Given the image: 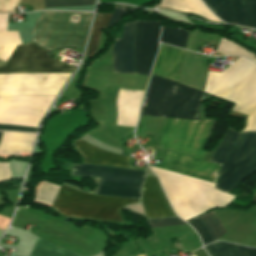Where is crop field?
Segmentation results:
<instances>
[{"label":"crop field","mask_w":256,"mask_h":256,"mask_svg":"<svg viewBox=\"0 0 256 256\" xmlns=\"http://www.w3.org/2000/svg\"><path fill=\"white\" fill-rule=\"evenodd\" d=\"M90 13L43 12L34 26L32 42L47 51L83 47ZM29 42L17 46L0 74H71L70 65L50 59ZM70 75H0V96L57 95Z\"/></svg>","instance_id":"crop-field-1"},{"label":"crop field","mask_w":256,"mask_h":256,"mask_svg":"<svg viewBox=\"0 0 256 256\" xmlns=\"http://www.w3.org/2000/svg\"><path fill=\"white\" fill-rule=\"evenodd\" d=\"M152 169L161 179L174 209L185 220L214 207H227L234 198V196L217 192L213 187L214 184L156 168Z\"/></svg>","instance_id":"crop-field-2"},{"label":"crop field","mask_w":256,"mask_h":256,"mask_svg":"<svg viewBox=\"0 0 256 256\" xmlns=\"http://www.w3.org/2000/svg\"><path fill=\"white\" fill-rule=\"evenodd\" d=\"M204 96L201 91L152 74L141 115L196 120Z\"/></svg>","instance_id":"crop-field-3"},{"label":"crop field","mask_w":256,"mask_h":256,"mask_svg":"<svg viewBox=\"0 0 256 256\" xmlns=\"http://www.w3.org/2000/svg\"><path fill=\"white\" fill-rule=\"evenodd\" d=\"M210 161L221 164L216 189L228 192L256 170V131L236 132L228 128Z\"/></svg>","instance_id":"crop-field-4"},{"label":"crop field","mask_w":256,"mask_h":256,"mask_svg":"<svg viewBox=\"0 0 256 256\" xmlns=\"http://www.w3.org/2000/svg\"><path fill=\"white\" fill-rule=\"evenodd\" d=\"M204 91L235 102L234 111L250 114L256 109V65L240 57L222 73L209 72Z\"/></svg>","instance_id":"crop-field-5"},{"label":"crop field","mask_w":256,"mask_h":256,"mask_svg":"<svg viewBox=\"0 0 256 256\" xmlns=\"http://www.w3.org/2000/svg\"><path fill=\"white\" fill-rule=\"evenodd\" d=\"M137 201L94 196L61 186L52 208L64 216L122 222L120 209Z\"/></svg>","instance_id":"crop-field-6"},{"label":"crop field","mask_w":256,"mask_h":256,"mask_svg":"<svg viewBox=\"0 0 256 256\" xmlns=\"http://www.w3.org/2000/svg\"><path fill=\"white\" fill-rule=\"evenodd\" d=\"M214 123L166 118L159 147L201 159Z\"/></svg>","instance_id":"crop-field-7"},{"label":"crop field","mask_w":256,"mask_h":256,"mask_svg":"<svg viewBox=\"0 0 256 256\" xmlns=\"http://www.w3.org/2000/svg\"><path fill=\"white\" fill-rule=\"evenodd\" d=\"M73 174L101 177L97 194L140 198L144 171L100 165H75Z\"/></svg>","instance_id":"crop-field-8"},{"label":"crop field","mask_w":256,"mask_h":256,"mask_svg":"<svg viewBox=\"0 0 256 256\" xmlns=\"http://www.w3.org/2000/svg\"><path fill=\"white\" fill-rule=\"evenodd\" d=\"M54 99L44 96L0 98V124L37 127Z\"/></svg>","instance_id":"crop-field-9"},{"label":"crop field","mask_w":256,"mask_h":256,"mask_svg":"<svg viewBox=\"0 0 256 256\" xmlns=\"http://www.w3.org/2000/svg\"><path fill=\"white\" fill-rule=\"evenodd\" d=\"M160 21H137L135 33V69L137 74L149 75L157 51Z\"/></svg>","instance_id":"crop-field-10"},{"label":"crop field","mask_w":256,"mask_h":256,"mask_svg":"<svg viewBox=\"0 0 256 256\" xmlns=\"http://www.w3.org/2000/svg\"><path fill=\"white\" fill-rule=\"evenodd\" d=\"M207 7L227 23L256 28V0H203Z\"/></svg>","instance_id":"crop-field-11"},{"label":"crop field","mask_w":256,"mask_h":256,"mask_svg":"<svg viewBox=\"0 0 256 256\" xmlns=\"http://www.w3.org/2000/svg\"><path fill=\"white\" fill-rule=\"evenodd\" d=\"M219 167L210 162L167 151L163 169L216 183Z\"/></svg>","instance_id":"crop-field-12"},{"label":"crop field","mask_w":256,"mask_h":256,"mask_svg":"<svg viewBox=\"0 0 256 256\" xmlns=\"http://www.w3.org/2000/svg\"><path fill=\"white\" fill-rule=\"evenodd\" d=\"M142 202L148 219L176 216L156 177L146 176L142 188Z\"/></svg>","instance_id":"crop-field-13"},{"label":"crop field","mask_w":256,"mask_h":256,"mask_svg":"<svg viewBox=\"0 0 256 256\" xmlns=\"http://www.w3.org/2000/svg\"><path fill=\"white\" fill-rule=\"evenodd\" d=\"M135 22H125L121 39H114V72L134 73L133 42Z\"/></svg>","instance_id":"crop-field-14"},{"label":"crop field","mask_w":256,"mask_h":256,"mask_svg":"<svg viewBox=\"0 0 256 256\" xmlns=\"http://www.w3.org/2000/svg\"><path fill=\"white\" fill-rule=\"evenodd\" d=\"M183 53V50L160 45L152 73L178 82Z\"/></svg>","instance_id":"crop-field-15"},{"label":"crop field","mask_w":256,"mask_h":256,"mask_svg":"<svg viewBox=\"0 0 256 256\" xmlns=\"http://www.w3.org/2000/svg\"><path fill=\"white\" fill-rule=\"evenodd\" d=\"M144 91L120 89L117 100V125L135 127Z\"/></svg>","instance_id":"crop-field-16"},{"label":"crop field","mask_w":256,"mask_h":256,"mask_svg":"<svg viewBox=\"0 0 256 256\" xmlns=\"http://www.w3.org/2000/svg\"><path fill=\"white\" fill-rule=\"evenodd\" d=\"M74 146L81 156L84 157V163L104 164L129 168V157L109 153L80 139L75 141Z\"/></svg>","instance_id":"crop-field-17"},{"label":"crop field","mask_w":256,"mask_h":256,"mask_svg":"<svg viewBox=\"0 0 256 256\" xmlns=\"http://www.w3.org/2000/svg\"><path fill=\"white\" fill-rule=\"evenodd\" d=\"M127 9H131V10H135V11L137 10L136 8H133L128 5L117 4V5H115L113 15L112 14H102V13L96 14V17H95V20L93 23V27H92V31H91V36H90L87 53H86L87 57H89L92 54V52L96 49L97 44L100 39V29L107 27L111 15H112V17H111V20H110V23L108 26H112L113 23L117 19H119Z\"/></svg>","instance_id":"crop-field-18"},{"label":"crop field","mask_w":256,"mask_h":256,"mask_svg":"<svg viewBox=\"0 0 256 256\" xmlns=\"http://www.w3.org/2000/svg\"><path fill=\"white\" fill-rule=\"evenodd\" d=\"M35 134L3 133L0 142V154L19 155L21 152H30Z\"/></svg>","instance_id":"crop-field-19"},{"label":"crop field","mask_w":256,"mask_h":256,"mask_svg":"<svg viewBox=\"0 0 256 256\" xmlns=\"http://www.w3.org/2000/svg\"><path fill=\"white\" fill-rule=\"evenodd\" d=\"M160 7H166L183 12H192L213 21H221L206 8L201 0H162Z\"/></svg>","instance_id":"crop-field-20"},{"label":"crop field","mask_w":256,"mask_h":256,"mask_svg":"<svg viewBox=\"0 0 256 256\" xmlns=\"http://www.w3.org/2000/svg\"><path fill=\"white\" fill-rule=\"evenodd\" d=\"M8 15L0 14V60L7 61L14 48L22 44L17 32H6Z\"/></svg>","instance_id":"crop-field-21"},{"label":"crop field","mask_w":256,"mask_h":256,"mask_svg":"<svg viewBox=\"0 0 256 256\" xmlns=\"http://www.w3.org/2000/svg\"><path fill=\"white\" fill-rule=\"evenodd\" d=\"M30 256H81L71 253L59 247L46 242L43 239L37 240L35 247L33 248Z\"/></svg>","instance_id":"crop-field-22"},{"label":"crop field","mask_w":256,"mask_h":256,"mask_svg":"<svg viewBox=\"0 0 256 256\" xmlns=\"http://www.w3.org/2000/svg\"><path fill=\"white\" fill-rule=\"evenodd\" d=\"M188 31L180 28H164L162 27L161 42L176 47L184 48Z\"/></svg>","instance_id":"crop-field-23"},{"label":"crop field","mask_w":256,"mask_h":256,"mask_svg":"<svg viewBox=\"0 0 256 256\" xmlns=\"http://www.w3.org/2000/svg\"><path fill=\"white\" fill-rule=\"evenodd\" d=\"M205 228L208 230L214 241L218 240L226 231L213 213L207 212L198 216Z\"/></svg>","instance_id":"crop-field-24"},{"label":"crop field","mask_w":256,"mask_h":256,"mask_svg":"<svg viewBox=\"0 0 256 256\" xmlns=\"http://www.w3.org/2000/svg\"><path fill=\"white\" fill-rule=\"evenodd\" d=\"M205 248L210 256H242L236 245L225 242H216Z\"/></svg>","instance_id":"crop-field-25"},{"label":"crop field","mask_w":256,"mask_h":256,"mask_svg":"<svg viewBox=\"0 0 256 256\" xmlns=\"http://www.w3.org/2000/svg\"><path fill=\"white\" fill-rule=\"evenodd\" d=\"M217 51L225 54V55H240V56H245L247 58H250L256 63V59L253 54L245 51L244 49L234 45L228 40L221 39Z\"/></svg>","instance_id":"crop-field-26"},{"label":"crop field","mask_w":256,"mask_h":256,"mask_svg":"<svg viewBox=\"0 0 256 256\" xmlns=\"http://www.w3.org/2000/svg\"><path fill=\"white\" fill-rule=\"evenodd\" d=\"M59 188V186L44 182L35 201L51 205Z\"/></svg>","instance_id":"crop-field-27"},{"label":"crop field","mask_w":256,"mask_h":256,"mask_svg":"<svg viewBox=\"0 0 256 256\" xmlns=\"http://www.w3.org/2000/svg\"><path fill=\"white\" fill-rule=\"evenodd\" d=\"M94 0H45V8L92 5Z\"/></svg>","instance_id":"crop-field-28"},{"label":"crop field","mask_w":256,"mask_h":256,"mask_svg":"<svg viewBox=\"0 0 256 256\" xmlns=\"http://www.w3.org/2000/svg\"><path fill=\"white\" fill-rule=\"evenodd\" d=\"M186 222H188L190 225H192L194 227V229L198 232L204 245H206L210 242H213V239L211 238V236L209 235L207 230L204 228V226L202 225V223L200 222L198 217L188 220Z\"/></svg>","instance_id":"crop-field-29"},{"label":"crop field","mask_w":256,"mask_h":256,"mask_svg":"<svg viewBox=\"0 0 256 256\" xmlns=\"http://www.w3.org/2000/svg\"><path fill=\"white\" fill-rule=\"evenodd\" d=\"M151 228L185 224L178 217L147 220Z\"/></svg>","instance_id":"crop-field-30"},{"label":"crop field","mask_w":256,"mask_h":256,"mask_svg":"<svg viewBox=\"0 0 256 256\" xmlns=\"http://www.w3.org/2000/svg\"><path fill=\"white\" fill-rule=\"evenodd\" d=\"M38 128L33 127H23V126H14V125H0V130H17V131H29L37 132Z\"/></svg>","instance_id":"crop-field-31"},{"label":"crop field","mask_w":256,"mask_h":256,"mask_svg":"<svg viewBox=\"0 0 256 256\" xmlns=\"http://www.w3.org/2000/svg\"><path fill=\"white\" fill-rule=\"evenodd\" d=\"M256 130V110L247 118L246 127L243 131Z\"/></svg>","instance_id":"crop-field-32"},{"label":"crop field","mask_w":256,"mask_h":256,"mask_svg":"<svg viewBox=\"0 0 256 256\" xmlns=\"http://www.w3.org/2000/svg\"><path fill=\"white\" fill-rule=\"evenodd\" d=\"M237 247L243 256H256V249H251L248 247L238 246V245Z\"/></svg>","instance_id":"crop-field-33"},{"label":"crop field","mask_w":256,"mask_h":256,"mask_svg":"<svg viewBox=\"0 0 256 256\" xmlns=\"http://www.w3.org/2000/svg\"><path fill=\"white\" fill-rule=\"evenodd\" d=\"M2 133H3V132H0V139H1Z\"/></svg>","instance_id":"crop-field-34"}]
</instances>
